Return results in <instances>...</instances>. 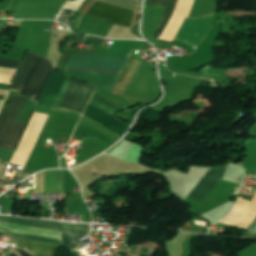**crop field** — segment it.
<instances>
[{"instance_id":"15","label":"crop field","mask_w":256,"mask_h":256,"mask_svg":"<svg viewBox=\"0 0 256 256\" xmlns=\"http://www.w3.org/2000/svg\"><path fill=\"white\" fill-rule=\"evenodd\" d=\"M176 2H177V0H174L173 4H172V6H171V9H170V11H169V13H168V15H167V17H166V20H165V22H164V24H163V26H162V29H163L165 23L167 22L169 16L171 15V13H172V11H173L175 5H176ZM162 29H161V30H162ZM160 32H161V31H160ZM159 34H160V33H159ZM158 36H159V35H158Z\"/></svg>"},{"instance_id":"10","label":"crop field","mask_w":256,"mask_h":256,"mask_svg":"<svg viewBox=\"0 0 256 256\" xmlns=\"http://www.w3.org/2000/svg\"><path fill=\"white\" fill-rule=\"evenodd\" d=\"M61 246L56 244H49L43 242L36 241H28L27 249L31 252H35L38 254L46 255V256H56Z\"/></svg>"},{"instance_id":"12","label":"crop field","mask_w":256,"mask_h":256,"mask_svg":"<svg viewBox=\"0 0 256 256\" xmlns=\"http://www.w3.org/2000/svg\"><path fill=\"white\" fill-rule=\"evenodd\" d=\"M242 238H256V218L248 227Z\"/></svg>"},{"instance_id":"1","label":"crop field","mask_w":256,"mask_h":256,"mask_svg":"<svg viewBox=\"0 0 256 256\" xmlns=\"http://www.w3.org/2000/svg\"><path fill=\"white\" fill-rule=\"evenodd\" d=\"M125 60V57L117 56L71 54L68 66L120 72ZM71 67H67L66 70L114 76H118L119 74L115 72L97 71ZM70 71H65L64 73L79 81L88 83L108 93L110 92L113 84L117 79V77L114 76L96 75Z\"/></svg>"},{"instance_id":"4","label":"crop field","mask_w":256,"mask_h":256,"mask_svg":"<svg viewBox=\"0 0 256 256\" xmlns=\"http://www.w3.org/2000/svg\"><path fill=\"white\" fill-rule=\"evenodd\" d=\"M0 223L61 232L62 245L71 251L79 245V243L74 242L76 236H87L90 228V225L66 224L45 220L21 219L5 216H0Z\"/></svg>"},{"instance_id":"17","label":"crop field","mask_w":256,"mask_h":256,"mask_svg":"<svg viewBox=\"0 0 256 256\" xmlns=\"http://www.w3.org/2000/svg\"><path fill=\"white\" fill-rule=\"evenodd\" d=\"M4 97H5V96H1V95H0V100H3V99H4Z\"/></svg>"},{"instance_id":"5","label":"crop field","mask_w":256,"mask_h":256,"mask_svg":"<svg viewBox=\"0 0 256 256\" xmlns=\"http://www.w3.org/2000/svg\"><path fill=\"white\" fill-rule=\"evenodd\" d=\"M27 99L13 96L0 116V147L14 149L25 123L15 120ZM15 150V149H14Z\"/></svg>"},{"instance_id":"6","label":"crop field","mask_w":256,"mask_h":256,"mask_svg":"<svg viewBox=\"0 0 256 256\" xmlns=\"http://www.w3.org/2000/svg\"><path fill=\"white\" fill-rule=\"evenodd\" d=\"M88 16L128 27L132 11L96 1Z\"/></svg>"},{"instance_id":"11","label":"crop field","mask_w":256,"mask_h":256,"mask_svg":"<svg viewBox=\"0 0 256 256\" xmlns=\"http://www.w3.org/2000/svg\"><path fill=\"white\" fill-rule=\"evenodd\" d=\"M172 2H173V0H148V6L165 8L164 16H163L159 26L157 27V29H156V31L153 35L154 38L157 37Z\"/></svg>"},{"instance_id":"14","label":"crop field","mask_w":256,"mask_h":256,"mask_svg":"<svg viewBox=\"0 0 256 256\" xmlns=\"http://www.w3.org/2000/svg\"><path fill=\"white\" fill-rule=\"evenodd\" d=\"M19 252L22 256H30L26 251H19ZM2 256H4V255H2ZM5 256H17V254L15 253V251L7 250Z\"/></svg>"},{"instance_id":"8","label":"crop field","mask_w":256,"mask_h":256,"mask_svg":"<svg viewBox=\"0 0 256 256\" xmlns=\"http://www.w3.org/2000/svg\"><path fill=\"white\" fill-rule=\"evenodd\" d=\"M83 116L101 124L102 126L108 128L120 135L129 126V125L95 109L94 107H92L90 105H87Z\"/></svg>"},{"instance_id":"3","label":"crop field","mask_w":256,"mask_h":256,"mask_svg":"<svg viewBox=\"0 0 256 256\" xmlns=\"http://www.w3.org/2000/svg\"><path fill=\"white\" fill-rule=\"evenodd\" d=\"M52 70L49 60L27 51L9 90L37 104Z\"/></svg>"},{"instance_id":"9","label":"crop field","mask_w":256,"mask_h":256,"mask_svg":"<svg viewBox=\"0 0 256 256\" xmlns=\"http://www.w3.org/2000/svg\"><path fill=\"white\" fill-rule=\"evenodd\" d=\"M44 193H63V170L45 171Z\"/></svg>"},{"instance_id":"16","label":"crop field","mask_w":256,"mask_h":256,"mask_svg":"<svg viewBox=\"0 0 256 256\" xmlns=\"http://www.w3.org/2000/svg\"><path fill=\"white\" fill-rule=\"evenodd\" d=\"M82 18H83V16H82V15H79V17H78V19H77V21H76V23H75V27H74V28L77 29V27H78L79 23L81 22Z\"/></svg>"},{"instance_id":"13","label":"crop field","mask_w":256,"mask_h":256,"mask_svg":"<svg viewBox=\"0 0 256 256\" xmlns=\"http://www.w3.org/2000/svg\"><path fill=\"white\" fill-rule=\"evenodd\" d=\"M19 64L17 61L0 60V67L17 69Z\"/></svg>"},{"instance_id":"7","label":"crop field","mask_w":256,"mask_h":256,"mask_svg":"<svg viewBox=\"0 0 256 256\" xmlns=\"http://www.w3.org/2000/svg\"><path fill=\"white\" fill-rule=\"evenodd\" d=\"M227 165L211 167L189 196L201 203L206 195L221 180Z\"/></svg>"},{"instance_id":"2","label":"crop field","mask_w":256,"mask_h":256,"mask_svg":"<svg viewBox=\"0 0 256 256\" xmlns=\"http://www.w3.org/2000/svg\"><path fill=\"white\" fill-rule=\"evenodd\" d=\"M72 80L53 71L37 105L59 108ZM93 89L91 86L73 80L60 107L82 113Z\"/></svg>"}]
</instances>
